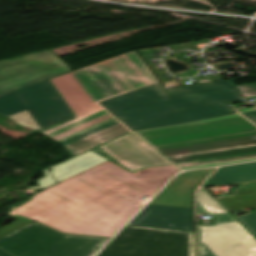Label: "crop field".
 Segmentation results:
<instances>
[{"instance_id": "9", "label": "crop field", "mask_w": 256, "mask_h": 256, "mask_svg": "<svg viewBox=\"0 0 256 256\" xmlns=\"http://www.w3.org/2000/svg\"><path fill=\"white\" fill-rule=\"evenodd\" d=\"M72 71L61 59L0 74V95Z\"/></svg>"}, {"instance_id": "4", "label": "crop field", "mask_w": 256, "mask_h": 256, "mask_svg": "<svg viewBox=\"0 0 256 256\" xmlns=\"http://www.w3.org/2000/svg\"><path fill=\"white\" fill-rule=\"evenodd\" d=\"M50 81L76 116L100 107L98 101L157 82L135 51Z\"/></svg>"}, {"instance_id": "11", "label": "crop field", "mask_w": 256, "mask_h": 256, "mask_svg": "<svg viewBox=\"0 0 256 256\" xmlns=\"http://www.w3.org/2000/svg\"><path fill=\"white\" fill-rule=\"evenodd\" d=\"M44 83L55 108L48 111L42 107H22L15 115H13L23 124L39 129L75 117L74 113L50 81L47 80Z\"/></svg>"}, {"instance_id": "7", "label": "crop field", "mask_w": 256, "mask_h": 256, "mask_svg": "<svg viewBox=\"0 0 256 256\" xmlns=\"http://www.w3.org/2000/svg\"><path fill=\"white\" fill-rule=\"evenodd\" d=\"M97 256H194L193 233L126 226Z\"/></svg>"}, {"instance_id": "22", "label": "crop field", "mask_w": 256, "mask_h": 256, "mask_svg": "<svg viewBox=\"0 0 256 256\" xmlns=\"http://www.w3.org/2000/svg\"><path fill=\"white\" fill-rule=\"evenodd\" d=\"M247 99L256 97V83L237 85Z\"/></svg>"}, {"instance_id": "5", "label": "crop field", "mask_w": 256, "mask_h": 256, "mask_svg": "<svg viewBox=\"0 0 256 256\" xmlns=\"http://www.w3.org/2000/svg\"><path fill=\"white\" fill-rule=\"evenodd\" d=\"M196 210L215 221L197 226L198 256H256V239L206 190H196Z\"/></svg>"}, {"instance_id": "2", "label": "crop field", "mask_w": 256, "mask_h": 256, "mask_svg": "<svg viewBox=\"0 0 256 256\" xmlns=\"http://www.w3.org/2000/svg\"><path fill=\"white\" fill-rule=\"evenodd\" d=\"M173 165L197 167L256 160V126L239 115L136 132Z\"/></svg>"}, {"instance_id": "3", "label": "crop field", "mask_w": 256, "mask_h": 256, "mask_svg": "<svg viewBox=\"0 0 256 256\" xmlns=\"http://www.w3.org/2000/svg\"><path fill=\"white\" fill-rule=\"evenodd\" d=\"M242 98L236 86L168 96L157 83L98 104L138 131L232 114L236 110L223 102Z\"/></svg>"}, {"instance_id": "1", "label": "crop field", "mask_w": 256, "mask_h": 256, "mask_svg": "<svg viewBox=\"0 0 256 256\" xmlns=\"http://www.w3.org/2000/svg\"><path fill=\"white\" fill-rule=\"evenodd\" d=\"M179 169L163 166L134 174L107 161L42 192L16 213L65 234L111 237Z\"/></svg>"}, {"instance_id": "20", "label": "crop field", "mask_w": 256, "mask_h": 256, "mask_svg": "<svg viewBox=\"0 0 256 256\" xmlns=\"http://www.w3.org/2000/svg\"><path fill=\"white\" fill-rule=\"evenodd\" d=\"M35 195L36 194L30 196L29 199H26V200H24V201H22V202H20V203H18L16 205L12 206L11 208H9V210L7 212V215L12 216V217H16L18 219L15 220L12 223H9V224L1 227L0 228V237L4 236V235H6V234H8V233H10V232L20 228V227H22V226H24V225H26V224H28L30 222H33L32 220H29V219H26L24 217L19 216L18 214L15 213V211L19 207L24 205L25 203L29 202L31 199H33Z\"/></svg>"}, {"instance_id": "23", "label": "crop field", "mask_w": 256, "mask_h": 256, "mask_svg": "<svg viewBox=\"0 0 256 256\" xmlns=\"http://www.w3.org/2000/svg\"><path fill=\"white\" fill-rule=\"evenodd\" d=\"M43 172L45 173L46 177L39 179L38 184L40 187H32L30 189H34V188H44L47 187L53 183H55V180L53 179V177L51 176V174L49 173V171L43 170Z\"/></svg>"}, {"instance_id": "6", "label": "crop field", "mask_w": 256, "mask_h": 256, "mask_svg": "<svg viewBox=\"0 0 256 256\" xmlns=\"http://www.w3.org/2000/svg\"><path fill=\"white\" fill-rule=\"evenodd\" d=\"M108 239L65 235L35 222L0 238V256H93Z\"/></svg>"}, {"instance_id": "17", "label": "crop field", "mask_w": 256, "mask_h": 256, "mask_svg": "<svg viewBox=\"0 0 256 256\" xmlns=\"http://www.w3.org/2000/svg\"><path fill=\"white\" fill-rule=\"evenodd\" d=\"M256 180V162L220 167L201 187Z\"/></svg>"}, {"instance_id": "19", "label": "crop field", "mask_w": 256, "mask_h": 256, "mask_svg": "<svg viewBox=\"0 0 256 256\" xmlns=\"http://www.w3.org/2000/svg\"><path fill=\"white\" fill-rule=\"evenodd\" d=\"M58 58L59 57L51 50H44L7 60H2L0 61V73Z\"/></svg>"}, {"instance_id": "12", "label": "crop field", "mask_w": 256, "mask_h": 256, "mask_svg": "<svg viewBox=\"0 0 256 256\" xmlns=\"http://www.w3.org/2000/svg\"><path fill=\"white\" fill-rule=\"evenodd\" d=\"M211 170L201 169L175 176L150 204L192 208L191 191Z\"/></svg>"}, {"instance_id": "26", "label": "crop field", "mask_w": 256, "mask_h": 256, "mask_svg": "<svg viewBox=\"0 0 256 256\" xmlns=\"http://www.w3.org/2000/svg\"><path fill=\"white\" fill-rule=\"evenodd\" d=\"M39 190H41V189H34V190H29V191H32V192H37V191H39Z\"/></svg>"}, {"instance_id": "18", "label": "crop field", "mask_w": 256, "mask_h": 256, "mask_svg": "<svg viewBox=\"0 0 256 256\" xmlns=\"http://www.w3.org/2000/svg\"><path fill=\"white\" fill-rule=\"evenodd\" d=\"M85 153V152H84ZM106 159L89 151L53 167L52 173L58 182L96 166Z\"/></svg>"}, {"instance_id": "13", "label": "crop field", "mask_w": 256, "mask_h": 256, "mask_svg": "<svg viewBox=\"0 0 256 256\" xmlns=\"http://www.w3.org/2000/svg\"><path fill=\"white\" fill-rule=\"evenodd\" d=\"M22 106H42L48 110L54 107L43 82L0 96V114L12 118L20 125L23 124L12 115Z\"/></svg>"}, {"instance_id": "15", "label": "crop field", "mask_w": 256, "mask_h": 256, "mask_svg": "<svg viewBox=\"0 0 256 256\" xmlns=\"http://www.w3.org/2000/svg\"><path fill=\"white\" fill-rule=\"evenodd\" d=\"M111 120H113V117L110 114H108L104 109H99L80 118L75 117L68 121L40 130V132L60 143L61 141L88 131Z\"/></svg>"}, {"instance_id": "24", "label": "crop field", "mask_w": 256, "mask_h": 256, "mask_svg": "<svg viewBox=\"0 0 256 256\" xmlns=\"http://www.w3.org/2000/svg\"><path fill=\"white\" fill-rule=\"evenodd\" d=\"M246 117H248L250 120H252L254 123H256V111L243 113Z\"/></svg>"}, {"instance_id": "8", "label": "crop field", "mask_w": 256, "mask_h": 256, "mask_svg": "<svg viewBox=\"0 0 256 256\" xmlns=\"http://www.w3.org/2000/svg\"><path fill=\"white\" fill-rule=\"evenodd\" d=\"M91 151L130 172L142 167L169 164L132 133L111 140Z\"/></svg>"}, {"instance_id": "21", "label": "crop field", "mask_w": 256, "mask_h": 256, "mask_svg": "<svg viewBox=\"0 0 256 256\" xmlns=\"http://www.w3.org/2000/svg\"><path fill=\"white\" fill-rule=\"evenodd\" d=\"M235 85L231 79L166 89L169 95Z\"/></svg>"}, {"instance_id": "16", "label": "crop field", "mask_w": 256, "mask_h": 256, "mask_svg": "<svg viewBox=\"0 0 256 256\" xmlns=\"http://www.w3.org/2000/svg\"><path fill=\"white\" fill-rule=\"evenodd\" d=\"M129 132L118 121L113 120L88 132L62 142L71 157L95 147L103 142Z\"/></svg>"}, {"instance_id": "10", "label": "crop field", "mask_w": 256, "mask_h": 256, "mask_svg": "<svg viewBox=\"0 0 256 256\" xmlns=\"http://www.w3.org/2000/svg\"><path fill=\"white\" fill-rule=\"evenodd\" d=\"M128 225L192 232V209L148 205Z\"/></svg>"}, {"instance_id": "14", "label": "crop field", "mask_w": 256, "mask_h": 256, "mask_svg": "<svg viewBox=\"0 0 256 256\" xmlns=\"http://www.w3.org/2000/svg\"><path fill=\"white\" fill-rule=\"evenodd\" d=\"M229 212L256 208V181L245 182L232 189V195L215 197ZM256 237V211L236 217Z\"/></svg>"}, {"instance_id": "25", "label": "crop field", "mask_w": 256, "mask_h": 256, "mask_svg": "<svg viewBox=\"0 0 256 256\" xmlns=\"http://www.w3.org/2000/svg\"><path fill=\"white\" fill-rule=\"evenodd\" d=\"M252 110H256V107H250V108H246L244 110H240V113L247 112V111H252Z\"/></svg>"}]
</instances>
